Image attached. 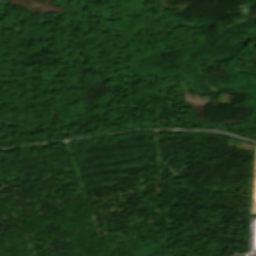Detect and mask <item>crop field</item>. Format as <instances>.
I'll use <instances>...</instances> for the list:
<instances>
[{
    "label": "crop field",
    "mask_w": 256,
    "mask_h": 256,
    "mask_svg": "<svg viewBox=\"0 0 256 256\" xmlns=\"http://www.w3.org/2000/svg\"><path fill=\"white\" fill-rule=\"evenodd\" d=\"M234 256H238V255H234Z\"/></svg>",
    "instance_id": "1"
}]
</instances>
